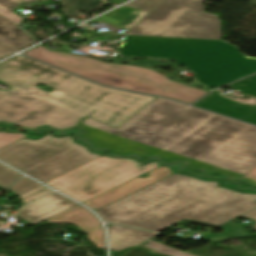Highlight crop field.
Masks as SVG:
<instances>
[{
    "instance_id": "obj_1",
    "label": "crop field",
    "mask_w": 256,
    "mask_h": 256,
    "mask_svg": "<svg viewBox=\"0 0 256 256\" xmlns=\"http://www.w3.org/2000/svg\"><path fill=\"white\" fill-rule=\"evenodd\" d=\"M0 80L13 88L0 90V121L30 130H64L85 116L117 128L156 98L96 85L22 56L0 63ZM36 83L55 90L44 92Z\"/></svg>"
},
{
    "instance_id": "obj_3",
    "label": "crop field",
    "mask_w": 256,
    "mask_h": 256,
    "mask_svg": "<svg viewBox=\"0 0 256 256\" xmlns=\"http://www.w3.org/2000/svg\"><path fill=\"white\" fill-rule=\"evenodd\" d=\"M216 184L174 173L96 212L104 221L156 232L183 219L213 227L238 215L256 221V195Z\"/></svg>"
},
{
    "instance_id": "obj_16",
    "label": "crop field",
    "mask_w": 256,
    "mask_h": 256,
    "mask_svg": "<svg viewBox=\"0 0 256 256\" xmlns=\"http://www.w3.org/2000/svg\"><path fill=\"white\" fill-rule=\"evenodd\" d=\"M63 2L65 8L62 11L68 16H71L78 9L92 12L104 3L102 0H63Z\"/></svg>"
},
{
    "instance_id": "obj_23",
    "label": "crop field",
    "mask_w": 256,
    "mask_h": 256,
    "mask_svg": "<svg viewBox=\"0 0 256 256\" xmlns=\"http://www.w3.org/2000/svg\"><path fill=\"white\" fill-rule=\"evenodd\" d=\"M25 137L21 133H6L0 132V148H3L21 138Z\"/></svg>"
},
{
    "instance_id": "obj_4",
    "label": "crop field",
    "mask_w": 256,
    "mask_h": 256,
    "mask_svg": "<svg viewBox=\"0 0 256 256\" xmlns=\"http://www.w3.org/2000/svg\"><path fill=\"white\" fill-rule=\"evenodd\" d=\"M120 55L176 58L198 82L218 87L256 72V59L222 41L123 36Z\"/></svg>"
},
{
    "instance_id": "obj_13",
    "label": "crop field",
    "mask_w": 256,
    "mask_h": 256,
    "mask_svg": "<svg viewBox=\"0 0 256 256\" xmlns=\"http://www.w3.org/2000/svg\"><path fill=\"white\" fill-rule=\"evenodd\" d=\"M77 203L57 194L52 193L20 209L17 217L36 225Z\"/></svg>"
},
{
    "instance_id": "obj_26",
    "label": "crop field",
    "mask_w": 256,
    "mask_h": 256,
    "mask_svg": "<svg viewBox=\"0 0 256 256\" xmlns=\"http://www.w3.org/2000/svg\"><path fill=\"white\" fill-rule=\"evenodd\" d=\"M19 4L12 1V0H0V6L12 11L16 8Z\"/></svg>"
},
{
    "instance_id": "obj_19",
    "label": "crop field",
    "mask_w": 256,
    "mask_h": 256,
    "mask_svg": "<svg viewBox=\"0 0 256 256\" xmlns=\"http://www.w3.org/2000/svg\"><path fill=\"white\" fill-rule=\"evenodd\" d=\"M52 190L48 189L47 187L41 185L31 191H28L20 196H18L19 200L22 202V205L50 192Z\"/></svg>"
},
{
    "instance_id": "obj_27",
    "label": "crop field",
    "mask_w": 256,
    "mask_h": 256,
    "mask_svg": "<svg viewBox=\"0 0 256 256\" xmlns=\"http://www.w3.org/2000/svg\"><path fill=\"white\" fill-rule=\"evenodd\" d=\"M14 1H16V2L20 3V2H22L23 0H14Z\"/></svg>"
},
{
    "instance_id": "obj_6",
    "label": "crop field",
    "mask_w": 256,
    "mask_h": 256,
    "mask_svg": "<svg viewBox=\"0 0 256 256\" xmlns=\"http://www.w3.org/2000/svg\"><path fill=\"white\" fill-rule=\"evenodd\" d=\"M99 156L72 142L71 136L50 134L36 141L24 138L0 149L1 161L43 183Z\"/></svg>"
},
{
    "instance_id": "obj_20",
    "label": "crop field",
    "mask_w": 256,
    "mask_h": 256,
    "mask_svg": "<svg viewBox=\"0 0 256 256\" xmlns=\"http://www.w3.org/2000/svg\"><path fill=\"white\" fill-rule=\"evenodd\" d=\"M40 184L28 179V178H23L20 181H18L16 184H14L11 188L8 190H11L16 193V195H20Z\"/></svg>"
},
{
    "instance_id": "obj_8",
    "label": "crop field",
    "mask_w": 256,
    "mask_h": 256,
    "mask_svg": "<svg viewBox=\"0 0 256 256\" xmlns=\"http://www.w3.org/2000/svg\"><path fill=\"white\" fill-rule=\"evenodd\" d=\"M157 166L158 162L140 167L132 158L101 156L45 184L82 203Z\"/></svg>"
},
{
    "instance_id": "obj_15",
    "label": "crop field",
    "mask_w": 256,
    "mask_h": 256,
    "mask_svg": "<svg viewBox=\"0 0 256 256\" xmlns=\"http://www.w3.org/2000/svg\"><path fill=\"white\" fill-rule=\"evenodd\" d=\"M47 223H70L87 232L101 223L98 219L84 207L77 205L47 221Z\"/></svg>"
},
{
    "instance_id": "obj_7",
    "label": "crop field",
    "mask_w": 256,
    "mask_h": 256,
    "mask_svg": "<svg viewBox=\"0 0 256 256\" xmlns=\"http://www.w3.org/2000/svg\"><path fill=\"white\" fill-rule=\"evenodd\" d=\"M203 0H162L125 35L218 40V16L203 13Z\"/></svg>"
},
{
    "instance_id": "obj_5",
    "label": "crop field",
    "mask_w": 256,
    "mask_h": 256,
    "mask_svg": "<svg viewBox=\"0 0 256 256\" xmlns=\"http://www.w3.org/2000/svg\"><path fill=\"white\" fill-rule=\"evenodd\" d=\"M24 54L89 80L116 88L163 96L187 103L196 101L206 93V91L172 82L153 70L109 64L85 56L48 51L42 45Z\"/></svg>"
},
{
    "instance_id": "obj_12",
    "label": "crop field",
    "mask_w": 256,
    "mask_h": 256,
    "mask_svg": "<svg viewBox=\"0 0 256 256\" xmlns=\"http://www.w3.org/2000/svg\"><path fill=\"white\" fill-rule=\"evenodd\" d=\"M173 173V170L161 165L160 167L149 172V176L146 178L135 177L83 204L96 211L122 197H125L169 174Z\"/></svg>"
},
{
    "instance_id": "obj_17",
    "label": "crop field",
    "mask_w": 256,
    "mask_h": 256,
    "mask_svg": "<svg viewBox=\"0 0 256 256\" xmlns=\"http://www.w3.org/2000/svg\"><path fill=\"white\" fill-rule=\"evenodd\" d=\"M220 228L224 229L228 233L208 237V238H205V239L210 240V241H214V242H221V241L234 239V238L256 236V234L255 235H250L245 230H243L241 227H239L237 225H233V224H226V225H224Z\"/></svg>"
},
{
    "instance_id": "obj_18",
    "label": "crop field",
    "mask_w": 256,
    "mask_h": 256,
    "mask_svg": "<svg viewBox=\"0 0 256 256\" xmlns=\"http://www.w3.org/2000/svg\"><path fill=\"white\" fill-rule=\"evenodd\" d=\"M21 177V174L0 164V187L7 188Z\"/></svg>"
},
{
    "instance_id": "obj_14",
    "label": "crop field",
    "mask_w": 256,
    "mask_h": 256,
    "mask_svg": "<svg viewBox=\"0 0 256 256\" xmlns=\"http://www.w3.org/2000/svg\"><path fill=\"white\" fill-rule=\"evenodd\" d=\"M36 42L15 24L0 16V59Z\"/></svg>"
},
{
    "instance_id": "obj_9",
    "label": "crop field",
    "mask_w": 256,
    "mask_h": 256,
    "mask_svg": "<svg viewBox=\"0 0 256 256\" xmlns=\"http://www.w3.org/2000/svg\"><path fill=\"white\" fill-rule=\"evenodd\" d=\"M83 129H85L87 132L83 134L81 137L91 139L92 141L95 142L96 147H107L112 153L116 155H123L129 152H134L140 157H145L148 155H158L162 158L164 163H172L178 161L190 163L185 168L187 170L201 168L205 169L207 173L217 172L223 174L224 176L235 179H238L240 176H242V174L239 173H235L216 166H212L193 159H189L170 152H166L157 148H153L134 141L120 138L86 125L83 126Z\"/></svg>"
},
{
    "instance_id": "obj_24",
    "label": "crop field",
    "mask_w": 256,
    "mask_h": 256,
    "mask_svg": "<svg viewBox=\"0 0 256 256\" xmlns=\"http://www.w3.org/2000/svg\"><path fill=\"white\" fill-rule=\"evenodd\" d=\"M238 181H241L250 187H256V167L243 175Z\"/></svg>"
},
{
    "instance_id": "obj_25",
    "label": "crop field",
    "mask_w": 256,
    "mask_h": 256,
    "mask_svg": "<svg viewBox=\"0 0 256 256\" xmlns=\"http://www.w3.org/2000/svg\"><path fill=\"white\" fill-rule=\"evenodd\" d=\"M0 14L7 17L9 20H11L16 25L22 20L20 17H18L16 14L0 7Z\"/></svg>"
},
{
    "instance_id": "obj_2",
    "label": "crop field",
    "mask_w": 256,
    "mask_h": 256,
    "mask_svg": "<svg viewBox=\"0 0 256 256\" xmlns=\"http://www.w3.org/2000/svg\"><path fill=\"white\" fill-rule=\"evenodd\" d=\"M83 123L242 174L256 166V127L160 98L117 129Z\"/></svg>"
},
{
    "instance_id": "obj_22",
    "label": "crop field",
    "mask_w": 256,
    "mask_h": 256,
    "mask_svg": "<svg viewBox=\"0 0 256 256\" xmlns=\"http://www.w3.org/2000/svg\"><path fill=\"white\" fill-rule=\"evenodd\" d=\"M87 238L93 241L97 245L98 249H105L104 233L102 227L89 232Z\"/></svg>"
},
{
    "instance_id": "obj_21",
    "label": "crop field",
    "mask_w": 256,
    "mask_h": 256,
    "mask_svg": "<svg viewBox=\"0 0 256 256\" xmlns=\"http://www.w3.org/2000/svg\"><path fill=\"white\" fill-rule=\"evenodd\" d=\"M160 0H135L125 6L149 12Z\"/></svg>"
},
{
    "instance_id": "obj_10",
    "label": "crop field",
    "mask_w": 256,
    "mask_h": 256,
    "mask_svg": "<svg viewBox=\"0 0 256 256\" xmlns=\"http://www.w3.org/2000/svg\"><path fill=\"white\" fill-rule=\"evenodd\" d=\"M238 93L256 99V75L230 85ZM256 125V104L244 103L221 95L217 90L194 104Z\"/></svg>"
},
{
    "instance_id": "obj_11",
    "label": "crop field",
    "mask_w": 256,
    "mask_h": 256,
    "mask_svg": "<svg viewBox=\"0 0 256 256\" xmlns=\"http://www.w3.org/2000/svg\"><path fill=\"white\" fill-rule=\"evenodd\" d=\"M107 227L109 231L110 250H120L131 245L141 244L171 256H192L149 240L157 235L155 233L123 228L111 224H108Z\"/></svg>"
}]
</instances>
